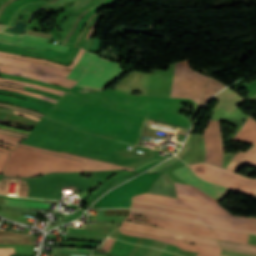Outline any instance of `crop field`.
I'll return each instance as SVG.
<instances>
[{
  "mask_svg": "<svg viewBox=\"0 0 256 256\" xmlns=\"http://www.w3.org/2000/svg\"><path fill=\"white\" fill-rule=\"evenodd\" d=\"M195 174L201 178L226 186L237 192L256 196V179L244 177L233 171L215 167L208 163L189 165Z\"/></svg>",
  "mask_w": 256,
  "mask_h": 256,
  "instance_id": "crop-field-5",
  "label": "crop field"
},
{
  "mask_svg": "<svg viewBox=\"0 0 256 256\" xmlns=\"http://www.w3.org/2000/svg\"><path fill=\"white\" fill-rule=\"evenodd\" d=\"M82 160V157L19 143L1 174L38 176L49 172L77 171Z\"/></svg>",
  "mask_w": 256,
  "mask_h": 256,
  "instance_id": "crop-field-3",
  "label": "crop field"
},
{
  "mask_svg": "<svg viewBox=\"0 0 256 256\" xmlns=\"http://www.w3.org/2000/svg\"><path fill=\"white\" fill-rule=\"evenodd\" d=\"M36 4H38V3H36ZM36 4H30V5H28V6H26V7H24V8H22V9H20L19 11H18V13L16 14V16L14 17V19H13V21L11 22V26H13V24L16 22V20L18 19V17L20 16V14L24 11V10H26V9H28V8H30V7H32V6H34V5H36Z\"/></svg>",
  "mask_w": 256,
  "mask_h": 256,
  "instance_id": "crop-field-34",
  "label": "crop field"
},
{
  "mask_svg": "<svg viewBox=\"0 0 256 256\" xmlns=\"http://www.w3.org/2000/svg\"><path fill=\"white\" fill-rule=\"evenodd\" d=\"M0 64L17 66L27 69L43 71L59 76H66L70 71L52 67L46 64L30 62L21 59L0 56ZM121 64L114 63L99 57L97 54L85 51L80 62L68 75V79L79 81L76 85L103 89L112 81L119 78L127 70L121 69Z\"/></svg>",
  "mask_w": 256,
  "mask_h": 256,
  "instance_id": "crop-field-2",
  "label": "crop field"
},
{
  "mask_svg": "<svg viewBox=\"0 0 256 256\" xmlns=\"http://www.w3.org/2000/svg\"><path fill=\"white\" fill-rule=\"evenodd\" d=\"M0 76L67 91L62 97L63 99L191 127L189 119L178 114L182 109V102L195 103L189 99L139 97L126 94L139 97L136 99L111 89L96 93H83L98 90L77 86L68 89L14 75L0 73ZM63 99H60L51 108L46 117L85 132L136 143L146 121L145 118Z\"/></svg>",
  "mask_w": 256,
  "mask_h": 256,
  "instance_id": "crop-field-1",
  "label": "crop field"
},
{
  "mask_svg": "<svg viewBox=\"0 0 256 256\" xmlns=\"http://www.w3.org/2000/svg\"><path fill=\"white\" fill-rule=\"evenodd\" d=\"M0 123L6 124V125H10V126H14V127H18V128L28 129V130H30V129H31V128H29V127H24V126L14 125V124H10V123H6V122H2V121H0Z\"/></svg>",
  "mask_w": 256,
  "mask_h": 256,
  "instance_id": "crop-field-40",
  "label": "crop field"
},
{
  "mask_svg": "<svg viewBox=\"0 0 256 256\" xmlns=\"http://www.w3.org/2000/svg\"><path fill=\"white\" fill-rule=\"evenodd\" d=\"M0 137H1V138H6V139L17 140V141H20V140H21L20 138H16V137L9 136V135H5V134H0Z\"/></svg>",
  "mask_w": 256,
  "mask_h": 256,
  "instance_id": "crop-field-38",
  "label": "crop field"
},
{
  "mask_svg": "<svg viewBox=\"0 0 256 256\" xmlns=\"http://www.w3.org/2000/svg\"><path fill=\"white\" fill-rule=\"evenodd\" d=\"M14 114L21 115V116H25V117H29V118H32V119L37 120V121L40 120V118H37V117H35V116L28 115V114H24V113H20V112H17V111H14Z\"/></svg>",
  "mask_w": 256,
  "mask_h": 256,
  "instance_id": "crop-field-37",
  "label": "crop field"
},
{
  "mask_svg": "<svg viewBox=\"0 0 256 256\" xmlns=\"http://www.w3.org/2000/svg\"><path fill=\"white\" fill-rule=\"evenodd\" d=\"M218 121L219 120L208 121V128L204 129L206 147L205 162L213 163L221 167L223 148Z\"/></svg>",
  "mask_w": 256,
  "mask_h": 256,
  "instance_id": "crop-field-7",
  "label": "crop field"
},
{
  "mask_svg": "<svg viewBox=\"0 0 256 256\" xmlns=\"http://www.w3.org/2000/svg\"><path fill=\"white\" fill-rule=\"evenodd\" d=\"M130 210L118 209V210H105V215L121 214L128 215Z\"/></svg>",
  "mask_w": 256,
  "mask_h": 256,
  "instance_id": "crop-field-31",
  "label": "crop field"
},
{
  "mask_svg": "<svg viewBox=\"0 0 256 256\" xmlns=\"http://www.w3.org/2000/svg\"><path fill=\"white\" fill-rule=\"evenodd\" d=\"M8 153L0 152V173L3 169V165L8 157Z\"/></svg>",
  "mask_w": 256,
  "mask_h": 256,
  "instance_id": "crop-field-35",
  "label": "crop field"
},
{
  "mask_svg": "<svg viewBox=\"0 0 256 256\" xmlns=\"http://www.w3.org/2000/svg\"><path fill=\"white\" fill-rule=\"evenodd\" d=\"M245 164L256 168V145L244 153L240 152L236 154L231 163L228 165L227 169L235 171Z\"/></svg>",
  "mask_w": 256,
  "mask_h": 256,
  "instance_id": "crop-field-14",
  "label": "crop field"
},
{
  "mask_svg": "<svg viewBox=\"0 0 256 256\" xmlns=\"http://www.w3.org/2000/svg\"><path fill=\"white\" fill-rule=\"evenodd\" d=\"M148 192L177 198L174 183H167L162 174H160L159 178L149 188Z\"/></svg>",
  "mask_w": 256,
  "mask_h": 256,
  "instance_id": "crop-field-16",
  "label": "crop field"
},
{
  "mask_svg": "<svg viewBox=\"0 0 256 256\" xmlns=\"http://www.w3.org/2000/svg\"><path fill=\"white\" fill-rule=\"evenodd\" d=\"M101 16H103V14H102ZM101 16H100V17H101ZM99 19H100V18H99ZM99 19H98V20H99ZM98 20H97V21H98ZM97 21L93 24V26H92V28H91V30H90V32L88 33V35H87V37H86V38H88V36L90 35V33H91V31H92L93 27L96 25Z\"/></svg>",
  "mask_w": 256,
  "mask_h": 256,
  "instance_id": "crop-field-48",
  "label": "crop field"
},
{
  "mask_svg": "<svg viewBox=\"0 0 256 256\" xmlns=\"http://www.w3.org/2000/svg\"><path fill=\"white\" fill-rule=\"evenodd\" d=\"M172 172L175 173L181 179L188 182L189 184L193 185L194 187L198 188L202 192L212 196L213 198L219 201L230 191V189H226L218 185L210 184L199 179L197 176L193 174V172L186 165Z\"/></svg>",
  "mask_w": 256,
  "mask_h": 256,
  "instance_id": "crop-field-8",
  "label": "crop field"
},
{
  "mask_svg": "<svg viewBox=\"0 0 256 256\" xmlns=\"http://www.w3.org/2000/svg\"><path fill=\"white\" fill-rule=\"evenodd\" d=\"M0 128L8 129V130H13V131H17V132H22V133L29 134V132H28V131H23V130L13 129V128L5 127V126H2V125H0Z\"/></svg>",
  "mask_w": 256,
  "mask_h": 256,
  "instance_id": "crop-field-39",
  "label": "crop field"
},
{
  "mask_svg": "<svg viewBox=\"0 0 256 256\" xmlns=\"http://www.w3.org/2000/svg\"><path fill=\"white\" fill-rule=\"evenodd\" d=\"M132 202H139V203H143V204H149V205H155V206H160V207L176 209V210H181V211H185V212H189V213H194V214H198V215H203V216H207V217H212V218H218V219H224V220H230V221H241V222H245L246 221V220H242V219H234V218L216 216V215H211V214H206V213H201V212H196V211H191V210H185V209L173 208V207H168V206H163V205H157V204L147 203V202H143V201H139V200H133L132 199ZM247 222L255 223L256 224V222L250 221V220H248Z\"/></svg>",
  "mask_w": 256,
  "mask_h": 256,
  "instance_id": "crop-field-21",
  "label": "crop field"
},
{
  "mask_svg": "<svg viewBox=\"0 0 256 256\" xmlns=\"http://www.w3.org/2000/svg\"><path fill=\"white\" fill-rule=\"evenodd\" d=\"M196 256H218V255H211V254H205V253H199Z\"/></svg>",
  "mask_w": 256,
  "mask_h": 256,
  "instance_id": "crop-field-44",
  "label": "crop field"
},
{
  "mask_svg": "<svg viewBox=\"0 0 256 256\" xmlns=\"http://www.w3.org/2000/svg\"><path fill=\"white\" fill-rule=\"evenodd\" d=\"M6 27V25H1L0 24V29L2 30V29H4Z\"/></svg>",
  "mask_w": 256,
  "mask_h": 256,
  "instance_id": "crop-field-49",
  "label": "crop field"
},
{
  "mask_svg": "<svg viewBox=\"0 0 256 256\" xmlns=\"http://www.w3.org/2000/svg\"><path fill=\"white\" fill-rule=\"evenodd\" d=\"M45 4H47V3H44V4L40 5V6H38V7L34 8V9H32V10L28 13L26 19L32 14V12H33L34 10H36V9H38V8H40V7H42V6H44ZM24 19H25V18H24ZM26 19H25L24 21H26Z\"/></svg>",
  "mask_w": 256,
  "mask_h": 256,
  "instance_id": "crop-field-41",
  "label": "crop field"
},
{
  "mask_svg": "<svg viewBox=\"0 0 256 256\" xmlns=\"http://www.w3.org/2000/svg\"><path fill=\"white\" fill-rule=\"evenodd\" d=\"M0 81L10 82V83H16V84H22V85H26V86L31 87V88H36V89H40V90H45V91L57 93V94H60V95H62V94L64 93V92H62V91H58V90H54V89H49V88H45V87H41V86H37V85H32V84L25 83V82L10 80V79H0Z\"/></svg>",
  "mask_w": 256,
  "mask_h": 256,
  "instance_id": "crop-field-26",
  "label": "crop field"
},
{
  "mask_svg": "<svg viewBox=\"0 0 256 256\" xmlns=\"http://www.w3.org/2000/svg\"><path fill=\"white\" fill-rule=\"evenodd\" d=\"M208 78L209 77L192 71L188 67V60L177 63L171 97L191 98L201 104L202 88L205 86ZM223 88V84L209 78V81L204 88L203 103L201 105H204L210 97L221 91Z\"/></svg>",
  "mask_w": 256,
  "mask_h": 256,
  "instance_id": "crop-field-4",
  "label": "crop field"
},
{
  "mask_svg": "<svg viewBox=\"0 0 256 256\" xmlns=\"http://www.w3.org/2000/svg\"><path fill=\"white\" fill-rule=\"evenodd\" d=\"M92 250L83 249V248H61L60 253H81V254H90Z\"/></svg>",
  "mask_w": 256,
  "mask_h": 256,
  "instance_id": "crop-field-28",
  "label": "crop field"
},
{
  "mask_svg": "<svg viewBox=\"0 0 256 256\" xmlns=\"http://www.w3.org/2000/svg\"><path fill=\"white\" fill-rule=\"evenodd\" d=\"M1 85H7V86H13V87H19L22 88L23 86L20 85H14V84H9V83H4V82H0Z\"/></svg>",
  "mask_w": 256,
  "mask_h": 256,
  "instance_id": "crop-field-42",
  "label": "crop field"
},
{
  "mask_svg": "<svg viewBox=\"0 0 256 256\" xmlns=\"http://www.w3.org/2000/svg\"><path fill=\"white\" fill-rule=\"evenodd\" d=\"M222 249L256 255V245L219 239Z\"/></svg>",
  "mask_w": 256,
  "mask_h": 256,
  "instance_id": "crop-field-18",
  "label": "crop field"
},
{
  "mask_svg": "<svg viewBox=\"0 0 256 256\" xmlns=\"http://www.w3.org/2000/svg\"><path fill=\"white\" fill-rule=\"evenodd\" d=\"M206 225L212 226V227H216V228L227 229V230H231V231H241V232H248V233L256 234V231H249V230H243V229H231V228L222 227V226H216V225H211V224H206Z\"/></svg>",
  "mask_w": 256,
  "mask_h": 256,
  "instance_id": "crop-field-32",
  "label": "crop field"
},
{
  "mask_svg": "<svg viewBox=\"0 0 256 256\" xmlns=\"http://www.w3.org/2000/svg\"><path fill=\"white\" fill-rule=\"evenodd\" d=\"M0 89L10 90V91H14V92H20V93H23V94L35 96L37 98H40V99H43V100L52 101V102L56 103V100H54L52 98H49V97H46V96H43V95H39V94H35V93H29V92H26V91H22L20 89H12V88L2 87V86H0Z\"/></svg>",
  "mask_w": 256,
  "mask_h": 256,
  "instance_id": "crop-field-27",
  "label": "crop field"
},
{
  "mask_svg": "<svg viewBox=\"0 0 256 256\" xmlns=\"http://www.w3.org/2000/svg\"><path fill=\"white\" fill-rule=\"evenodd\" d=\"M0 141H2V142H7V143H11V144H15V145H17V142H13V141H9V140H5V139H1V138H0Z\"/></svg>",
  "mask_w": 256,
  "mask_h": 256,
  "instance_id": "crop-field-43",
  "label": "crop field"
},
{
  "mask_svg": "<svg viewBox=\"0 0 256 256\" xmlns=\"http://www.w3.org/2000/svg\"><path fill=\"white\" fill-rule=\"evenodd\" d=\"M0 146H4V147H7V148H11V149L14 148V146H11V145H8V144H4V143H0Z\"/></svg>",
  "mask_w": 256,
  "mask_h": 256,
  "instance_id": "crop-field-45",
  "label": "crop field"
},
{
  "mask_svg": "<svg viewBox=\"0 0 256 256\" xmlns=\"http://www.w3.org/2000/svg\"><path fill=\"white\" fill-rule=\"evenodd\" d=\"M114 241H115L114 239L107 238V240H106L102 250L109 252L111 247H112V245H113V243H114Z\"/></svg>",
  "mask_w": 256,
  "mask_h": 256,
  "instance_id": "crop-field-33",
  "label": "crop field"
},
{
  "mask_svg": "<svg viewBox=\"0 0 256 256\" xmlns=\"http://www.w3.org/2000/svg\"><path fill=\"white\" fill-rule=\"evenodd\" d=\"M131 208L147 209V210L162 212V213H166V214H170V215H174V216H178V217H182V218H186V219L198 220L201 222L223 225V226L232 227V228H243V229L256 230L255 224L241 223V222H230V221L206 218V217L197 216V215H193V214H189V213H183V212L167 210V209L151 207V206H145V205H140V204H134V203H132Z\"/></svg>",
  "mask_w": 256,
  "mask_h": 256,
  "instance_id": "crop-field-9",
  "label": "crop field"
},
{
  "mask_svg": "<svg viewBox=\"0 0 256 256\" xmlns=\"http://www.w3.org/2000/svg\"><path fill=\"white\" fill-rule=\"evenodd\" d=\"M117 235H118V232H115V231H114L112 234L109 235V237H114V238H116Z\"/></svg>",
  "mask_w": 256,
  "mask_h": 256,
  "instance_id": "crop-field-47",
  "label": "crop field"
},
{
  "mask_svg": "<svg viewBox=\"0 0 256 256\" xmlns=\"http://www.w3.org/2000/svg\"><path fill=\"white\" fill-rule=\"evenodd\" d=\"M0 256H9V255H0Z\"/></svg>",
  "mask_w": 256,
  "mask_h": 256,
  "instance_id": "crop-field-52",
  "label": "crop field"
},
{
  "mask_svg": "<svg viewBox=\"0 0 256 256\" xmlns=\"http://www.w3.org/2000/svg\"><path fill=\"white\" fill-rule=\"evenodd\" d=\"M5 204L26 206V207H35V208H44V209H48L49 205H50V204H46V203L27 202V201L9 200V199H5Z\"/></svg>",
  "mask_w": 256,
  "mask_h": 256,
  "instance_id": "crop-field-22",
  "label": "crop field"
},
{
  "mask_svg": "<svg viewBox=\"0 0 256 256\" xmlns=\"http://www.w3.org/2000/svg\"><path fill=\"white\" fill-rule=\"evenodd\" d=\"M233 140L256 144V122L249 117Z\"/></svg>",
  "mask_w": 256,
  "mask_h": 256,
  "instance_id": "crop-field-15",
  "label": "crop field"
},
{
  "mask_svg": "<svg viewBox=\"0 0 256 256\" xmlns=\"http://www.w3.org/2000/svg\"><path fill=\"white\" fill-rule=\"evenodd\" d=\"M216 101L219 102V105L221 108L226 110L228 113H232L237 107L242 105L245 100H243L241 97H239L237 94L232 92L230 89H225L220 94H218L216 97H214Z\"/></svg>",
  "mask_w": 256,
  "mask_h": 256,
  "instance_id": "crop-field-12",
  "label": "crop field"
},
{
  "mask_svg": "<svg viewBox=\"0 0 256 256\" xmlns=\"http://www.w3.org/2000/svg\"><path fill=\"white\" fill-rule=\"evenodd\" d=\"M211 230L214 232L217 238H224V239H230V240H236L241 242H246L248 240L249 234H243V233H235L220 229L211 228Z\"/></svg>",
  "mask_w": 256,
  "mask_h": 256,
  "instance_id": "crop-field-19",
  "label": "crop field"
},
{
  "mask_svg": "<svg viewBox=\"0 0 256 256\" xmlns=\"http://www.w3.org/2000/svg\"><path fill=\"white\" fill-rule=\"evenodd\" d=\"M84 51H85V50L81 48V50H80L79 53L77 54L75 60H74L68 67L63 66V65H60V64L52 63V62H49V61L44 60V59H39V58L21 57V56H19V55L8 54V53H3V52H0V55L13 56V57L23 58V59H29V60H33V61H38V62L46 63V64H49V65H52V66H57V67H62V68H66V69L72 70L73 67L76 65V63L78 62V60L82 57Z\"/></svg>",
  "mask_w": 256,
  "mask_h": 256,
  "instance_id": "crop-field-20",
  "label": "crop field"
},
{
  "mask_svg": "<svg viewBox=\"0 0 256 256\" xmlns=\"http://www.w3.org/2000/svg\"><path fill=\"white\" fill-rule=\"evenodd\" d=\"M132 211H133V212H141V213H146V214H151V215H156V216L171 218V219H175V220H179V221H184V222H190V223H195V224L203 225V224L197 223V222H192V221H188V220H184V219H179V218H175V217H171V216H167V215H162V214H156V213L146 212V211H142V210H134V209H132Z\"/></svg>",
  "mask_w": 256,
  "mask_h": 256,
  "instance_id": "crop-field-29",
  "label": "crop field"
},
{
  "mask_svg": "<svg viewBox=\"0 0 256 256\" xmlns=\"http://www.w3.org/2000/svg\"><path fill=\"white\" fill-rule=\"evenodd\" d=\"M119 229L137 232V233H143V234L157 235V236L174 239L182 242L192 243V244H200V245H207V246L220 248L219 242L217 241V239H214V238L186 234V233L177 232V231H173V230H169L161 227L148 226L140 223L125 221L122 227Z\"/></svg>",
  "mask_w": 256,
  "mask_h": 256,
  "instance_id": "crop-field-6",
  "label": "crop field"
},
{
  "mask_svg": "<svg viewBox=\"0 0 256 256\" xmlns=\"http://www.w3.org/2000/svg\"><path fill=\"white\" fill-rule=\"evenodd\" d=\"M48 39L41 37H34L28 35H11L9 33L0 32V42L21 45L36 49L45 50L46 48L56 49L67 52V46H60L55 44L47 43Z\"/></svg>",
  "mask_w": 256,
  "mask_h": 256,
  "instance_id": "crop-field-10",
  "label": "crop field"
},
{
  "mask_svg": "<svg viewBox=\"0 0 256 256\" xmlns=\"http://www.w3.org/2000/svg\"><path fill=\"white\" fill-rule=\"evenodd\" d=\"M121 232L123 234L141 236V237H144V238H151V239H157V240H160V241H164V242L173 244V245H175L176 247H178L180 249H187V250H193V251L205 252V253H212V254H219L220 253L219 249H215V248H211V247H207V246L186 244V243H182V242H178V241H174V240H169V239H165V238H161V237H157V236L137 234V233L127 232V231H122V230H121Z\"/></svg>",
  "mask_w": 256,
  "mask_h": 256,
  "instance_id": "crop-field-13",
  "label": "crop field"
},
{
  "mask_svg": "<svg viewBox=\"0 0 256 256\" xmlns=\"http://www.w3.org/2000/svg\"><path fill=\"white\" fill-rule=\"evenodd\" d=\"M0 106L6 107V108H12V109H17V110L25 111V112L31 113V114H33V115H35V116H38V117H40V118H42V117L44 116V115L39 114V113H37V112H34V111H32V110H28V109H24V108L12 106V105L0 104Z\"/></svg>",
  "mask_w": 256,
  "mask_h": 256,
  "instance_id": "crop-field-30",
  "label": "crop field"
},
{
  "mask_svg": "<svg viewBox=\"0 0 256 256\" xmlns=\"http://www.w3.org/2000/svg\"><path fill=\"white\" fill-rule=\"evenodd\" d=\"M0 68H1L0 72L8 73V74H14V75H20V76H24V77H28L29 74H27V73H31L29 78L41 80V81H44V82H45L46 78L48 77V74H44V73H40V72H36V71H31V70H27V69H22V68H16L15 67L14 70L21 71V72H27V73L12 71L13 67H9V66H0ZM46 82L59 84V85H62L64 87H68V88H71L72 86H74L77 83L76 81L64 79V78H61V77H58V76H53V75H49Z\"/></svg>",
  "mask_w": 256,
  "mask_h": 256,
  "instance_id": "crop-field-11",
  "label": "crop field"
},
{
  "mask_svg": "<svg viewBox=\"0 0 256 256\" xmlns=\"http://www.w3.org/2000/svg\"><path fill=\"white\" fill-rule=\"evenodd\" d=\"M0 243H34V236L0 230Z\"/></svg>",
  "mask_w": 256,
  "mask_h": 256,
  "instance_id": "crop-field-17",
  "label": "crop field"
},
{
  "mask_svg": "<svg viewBox=\"0 0 256 256\" xmlns=\"http://www.w3.org/2000/svg\"><path fill=\"white\" fill-rule=\"evenodd\" d=\"M0 201H4V199H1V198H0Z\"/></svg>",
  "mask_w": 256,
  "mask_h": 256,
  "instance_id": "crop-field-51",
  "label": "crop field"
},
{
  "mask_svg": "<svg viewBox=\"0 0 256 256\" xmlns=\"http://www.w3.org/2000/svg\"><path fill=\"white\" fill-rule=\"evenodd\" d=\"M127 220L135 221V222H141V223H147V224H153V225H158V226H162V227H167V228H171V229H176V230H181V231H185V232H190V233H195V234H200V235H206V236H210V237L216 238L215 235L201 233V232L192 231V230H187V229L178 228V227H173V226H169V225L153 223V222H148V221H142V220L129 219V218Z\"/></svg>",
  "mask_w": 256,
  "mask_h": 256,
  "instance_id": "crop-field-25",
  "label": "crop field"
},
{
  "mask_svg": "<svg viewBox=\"0 0 256 256\" xmlns=\"http://www.w3.org/2000/svg\"><path fill=\"white\" fill-rule=\"evenodd\" d=\"M0 151H4V152L10 153L11 149H7V148H4V147H0Z\"/></svg>",
  "mask_w": 256,
  "mask_h": 256,
  "instance_id": "crop-field-46",
  "label": "crop field"
},
{
  "mask_svg": "<svg viewBox=\"0 0 256 256\" xmlns=\"http://www.w3.org/2000/svg\"><path fill=\"white\" fill-rule=\"evenodd\" d=\"M249 99L256 100V95L251 97V98H249Z\"/></svg>",
  "mask_w": 256,
  "mask_h": 256,
  "instance_id": "crop-field-50",
  "label": "crop field"
},
{
  "mask_svg": "<svg viewBox=\"0 0 256 256\" xmlns=\"http://www.w3.org/2000/svg\"><path fill=\"white\" fill-rule=\"evenodd\" d=\"M0 254H13V248H0Z\"/></svg>",
  "mask_w": 256,
  "mask_h": 256,
  "instance_id": "crop-field-36",
  "label": "crop field"
},
{
  "mask_svg": "<svg viewBox=\"0 0 256 256\" xmlns=\"http://www.w3.org/2000/svg\"><path fill=\"white\" fill-rule=\"evenodd\" d=\"M4 120L31 126V127H33L37 123V121L30 120V119H27V118L21 117V116L8 114V113L6 114V117Z\"/></svg>",
  "mask_w": 256,
  "mask_h": 256,
  "instance_id": "crop-field-23",
  "label": "crop field"
},
{
  "mask_svg": "<svg viewBox=\"0 0 256 256\" xmlns=\"http://www.w3.org/2000/svg\"><path fill=\"white\" fill-rule=\"evenodd\" d=\"M180 159L177 158L176 156L162 162L161 164H159L158 166L144 172V173H149V172H161L166 170L167 168H169L171 165H173L174 163H176L177 161H179Z\"/></svg>",
  "mask_w": 256,
  "mask_h": 256,
  "instance_id": "crop-field-24",
  "label": "crop field"
}]
</instances>
